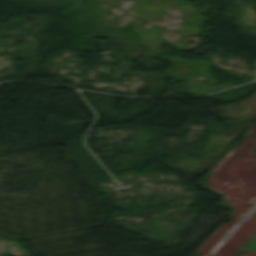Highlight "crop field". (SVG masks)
<instances>
[{"mask_svg": "<svg viewBox=\"0 0 256 256\" xmlns=\"http://www.w3.org/2000/svg\"><path fill=\"white\" fill-rule=\"evenodd\" d=\"M242 251H256V236L245 246Z\"/></svg>", "mask_w": 256, "mask_h": 256, "instance_id": "crop-field-1", "label": "crop field"}]
</instances>
